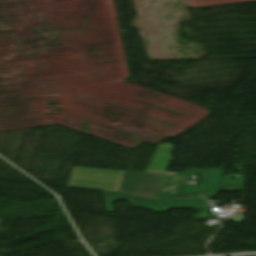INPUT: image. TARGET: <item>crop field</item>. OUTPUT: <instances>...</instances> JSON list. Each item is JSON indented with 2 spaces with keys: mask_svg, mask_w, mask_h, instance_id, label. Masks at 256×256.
<instances>
[{
  "mask_svg": "<svg viewBox=\"0 0 256 256\" xmlns=\"http://www.w3.org/2000/svg\"><path fill=\"white\" fill-rule=\"evenodd\" d=\"M170 144L158 145L146 173L74 167L68 186L125 193L155 200H177L186 173L164 174Z\"/></svg>",
  "mask_w": 256,
  "mask_h": 256,
  "instance_id": "crop-field-1",
  "label": "crop field"
}]
</instances>
